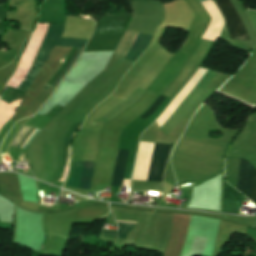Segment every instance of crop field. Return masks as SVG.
<instances>
[{"label":"crop field","mask_w":256,"mask_h":256,"mask_svg":"<svg viewBox=\"0 0 256 256\" xmlns=\"http://www.w3.org/2000/svg\"><path fill=\"white\" fill-rule=\"evenodd\" d=\"M64 32V25L49 24L46 37L43 41V44L40 48V51L36 57V60L26 75L25 79L19 86L20 89L27 90V88L34 81L38 71L47 61L50 51L58 43L62 33ZM29 89V88H28Z\"/></svg>","instance_id":"8a807250"},{"label":"crop field","mask_w":256,"mask_h":256,"mask_svg":"<svg viewBox=\"0 0 256 256\" xmlns=\"http://www.w3.org/2000/svg\"><path fill=\"white\" fill-rule=\"evenodd\" d=\"M152 35L136 33L126 30L116 54L138 59L145 50Z\"/></svg>","instance_id":"ac0d7876"},{"label":"crop field","mask_w":256,"mask_h":256,"mask_svg":"<svg viewBox=\"0 0 256 256\" xmlns=\"http://www.w3.org/2000/svg\"><path fill=\"white\" fill-rule=\"evenodd\" d=\"M215 3L225 18V23L228 28L230 38L250 40L231 2L229 0H216Z\"/></svg>","instance_id":"34b2d1b8"},{"label":"crop field","mask_w":256,"mask_h":256,"mask_svg":"<svg viewBox=\"0 0 256 256\" xmlns=\"http://www.w3.org/2000/svg\"><path fill=\"white\" fill-rule=\"evenodd\" d=\"M93 168H94L93 161L83 162V171H82V162H73L72 177L71 179H68L66 186L78 188L80 175L82 171L79 188L89 190Z\"/></svg>","instance_id":"412701ff"},{"label":"crop field","mask_w":256,"mask_h":256,"mask_svg":"<svg viewBox=\"0 0 256 256\" xmlns=\"http://www.w3.org/2000/svg\"><path fill=\"white\" fill-rule=\"evenodd\" d=\"M254 167L241 159L239 191L250 199ZM251 201L256 203V169L254 172Z\"/></svg>","instance_id":"f4fd0767"},{"label":"crop field","mask_w":256,"mask_h":256,"mask_svg":"<svg viewBox=\"0 0 256 256\" xmlns=\"http://www.w3.org/2000/svg\"><path fill=\"white\" fill-rule=\"evenodd\" d=\"M171 146L155 144L154 154L147 180L162 181L164 163L167 160Z\"/></svg>","instance_id":"dd49c442"},{"label":"crop field","mask_w":256,"mask_h":256,"mask_svg":"<svg viewBox=\"0 0 256 256\" xmlns=\"http://www.w3.org/2000/svg\"><path fill=\"white\" fill-rule=\"evenodd\" d=\"M77 50V48H72V50L69 52V54L67 55V57L64 59V61L62 62V64L59 66V68L57 69V71L54 73V75L51 77V79L48 81V84L52 85V83L55 81V79L57 78V76L60 74V72L62 71V69L64 68V66L67 64V62L69 61V59L72 57V55L74 54V52ZM82 51L81 48H78V50L75 52V54L73 55V57L70 59V61L68 62V64L66 65V67L63 69V71L61 72V74L58 76V78L56 79V81L53 83V85L58 86L60 80L64 77V75L68 72V70L71 68V66L74 64V62L77 60L80 52Z\"/></svg>","instance_id":"e52e79f7"},{"label":"crop field","mask_w":256,"mask_h":256,"mask_svg":"<svg viewBox=\"0 0 256 256\" xmlns=\"http://www.w3.org/2000/svg\"><path fill=\"white\" fill-rule=\"evenodd\" d=\"M128 151L118 150L111 185H121Z\"/></svg>","instance_id":"d8731c3e"},{"label":"crop field","mask_w":256,"mask_h":256,"mask_svg":"<svg viewBox=\"0 0 256 256\" xmlns=\"http://www.w3.org/2000/svg\"><path fill=\"white\" fill-rule=\"evenodd\" d=\"M30 129L28 126H23L19 133L15 136L13 142L10 146L16 147L18 142L21 140V138L26 134V132ZM35 128H32L31 131L26 135V137L23 139V141L20 143L19 147L21 148L22 145L25 143V141L29 138V136L34 132ZM40 129H37L36 132L31 136V138L27 141V143L24 145L23 148L27 149L30 142L35 138V136L40 132Z\"/></svg>","instance_id":"5a996713"},{"label":"crop field","mask_w":256,"mask_h":256,"mask_svg":"<svg viewBox=\"0 0 256 256\" xmlns=\"http://www.w3.org/2000/svg\"><path fill=\"white\" fill-rule=\"evenodd\" d=\"M88 40H75V39H65L61 38L57 45L62 46H74L83 48L87 44Z\"/></svg>","instance_id":"3316defc"},{"label":"crop field","mask_w":256,"mask_h":256,"mask_svg":"<svg viewBox=\"0 0 256 256\" xmlns=\"http://www.w3.org/2000/svg\"><path fill=\"white\" fill-rule=\"evenodd\" d=\"M165 99L166 98L160 96L159 99L157 100V102L153 106H151L149 108V110H147L140 117H142L146 120L150 115H152L162 105V103L165 101Z\"/></svg>","instance_id":"28ad6ade"},{"label":"crop field","mask_w":256,"mask_h":256,"mask_svg":"<svg viewBox=\"0 0 256 256\" xmlns=\"http://www.w3.org/2000/svg\"><path fill=\"white\" fill-rule=\"evenodd\" d=\"M119 225V230H118V237L119 238H125L127 232L131 229H133L135 224H131V223H121V222H117Z\"/></svg>","instance_id":"d1516ede"},{"label":"crop field","mask_w":256,"mask_h":256,"mask_svg":"<svg viewBox=\"0 0 256 256\" xmlns=\"http://www.w3.org/2000/svg\"><path fill=\"white\" fill-rule=\"evenodd\" d=\"M102 236L116 237V236H117V233H116V232H113V231H107V230H104V232H103V235H102Z\"/></svg>","instance_id":"22f410ed"},{"label":"crop field","mask_w":256,"mask_h":256,"mask_svg":"<svg viewBox=\"0 0 256 256\" xmlns=\"http://www.w3.org/2000/svg\"><path fill=\"white\" fill-rule=\"evenodd\" d=\"M210 1H211V0H210ZM206 2H208V1H206ZM206 2H202L201 4L206 3Z\"/></svg>","instance_id":"cbeb9de0"}]
</instances>
